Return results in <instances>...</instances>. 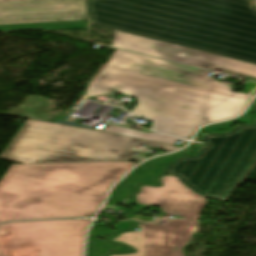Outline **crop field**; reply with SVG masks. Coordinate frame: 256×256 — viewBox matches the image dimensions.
Here are the masks:
<instances>
[{
	"label": "crop field",
	"mask_w": 256,
	"mask_h": 256,
	"mask_svg": "<svg viewBox=\"0 0 256 256\" xmlns=\"http://www.w3.org/2000/svg\"><path fill=\"white\" fill-rule=\"evenodd\" d=\"M91 24L256 64L255 0H84ZM113 47L256 77V66L116 32Z\"/></svg>",
	"instance_id": "8a807250"
},
{
	"label": "crop field",
	"mask_w": 256,
	"mask_h": 256,
	"mask_svg": "<svg viewBox=\"0 0 256 256\" xmlns=\"http://www.w3.org/2000/svg\"><path fill=\"white\" fill-rule=\"evenodd\" d=\"M208 73L116 49L86 95H131L138 103L130 113L153 120L161 133L190 139L200 125L240 114L256 95L255 82L235 92Z\"/></svg>",
	"instance_id": "ac0d7876"
},
{
	"label": "crop field",
	"mask_w": 256,
	"mask_h": 256,
	"mask_svg": "<svg viewBox=\"0 0 256 256\" xmlns=\"http://www.w3.org/2000/svg\"><path fill=\"white\" fill-rule=\"evenodd\" d=\"M135 164H14L0 181V222L92 217L110 186Z\"/></svg>",
	"instance_id": "34b2d1b8"
},
{
	"label": "crop field",
	"mask_w": 256,
	"mask_h": 256,
	"mask_svg": "<svg viewBox=\"0 0 256 256\" xmlns=\"http://www.w3.org/2000/svg\"><path fill=\"white\" fill-rule=\"evenodd\" d=\"M137 144L166 152L179 149L97 130L27 120L0 158L21 163L142 160L129 149Z\"/></svg>",
	"instance_id": "412701ff"
},
{
	"label": "crop field",
	"mask_w": 256,
	"mask_h": 256,
	"mask_svg": "<svg viewBox=\"0 0 256 256\" xmlns=\"http://www.w3.org/2000/svg\"><path fill=\"white\" fill-rule=\"evenodd\" d=\"M202 138L206 147L201 156L177 157L166 167V173L179 177L190 190L205 198L227 201L235 186L256 167V124L236 125L226 135Z\"/></svg>",
	"instance_id": "f4fd0767"
},
{
	"label": "crop field",
	"mask_w": 256,
	"mask_h": 256,
	"mask_svg": "<svg viewBox=\"0 0 256 256\" xmlns=\"http://www.w3.org/2000/svg\"><path fill=\"white\" fill-rule=\"evenodd\" d=\"M91 219L26 221L0 225L1 256L31 247L42 256H81L86 228Z\"/></svg>",
	"instance_id": "dd49c442"
},
{
	"label": "crop field",
	"mask_w": 256,
	"mask_h": 256,
	"mask_svg": "<svg viewBox=\"0 0 256 256\" xmlns=\"http://www.w3.org/2000/svg\"><path fill=\"white\" fill-rule=\"evenodd\" d=\"M87 20L83 0L0 2V24Z\"/></svg>",
	"instance_id": "e52e79f7"
},
{
	"label": "crop field",
	"mask_w": 256,
	"mask_h": 256,
	"mask_svg": "<svg viewBox=\"0 0 256 256\" xmlns=\"http://www.w3.org/2000/svg\"><path fill=\"white\" fill-rule=\"evenodd\" d=\"M199 222L172 220L164 226L144 224L142 256H183L181 250Z\"/></svg>",
	"instance_id": "d8731c3e"
},
{
	"label": "crop field",
	"mask_w": 256,
	"mask_h": 256,
	"mask_svg": "<svg viewBox=\"0 0 256 256\" xmlns=\"http://www.w3.org/2000/svg\"><path fill=\"white\" fill-rule=\"evenodd\" d=\"M205 203L175 177L160 206L164 213L198 220Z\"/></svg>",
	"instance_id": "5a996713"
},
{
	"label": "crop field",
	"mask_w": 256,
	"mask_h": 256,
	"mask_svg": "<svg viewBox=\"0 0 256 256\" xmlns=\"http://www.w3.org/2000/svg\"><path fill=\"white\" fill-rule=\"evenodd\" d=\"M154 175H156V174L155 173H149V172L141 171V170H137V169L133 170L126 178H124L114 188V190L112 191V193L110 195V198H109V200L106 203L104 208H106V207H117V208L124 209L126 213L131 211V209L118 207L115 204L119 200H126L127 199V195L132 193V192H134L133 186L137 182L147 181L148 179H150Z\"/></svg>",
	"instance_id": "3316defc"
},
{
	"label": "crop field",
	"mask_w": 256,
	"mask_h": 256,
	"mask_svg": "<svg viewBox=\"0 0 256 256\" xmlns=\"http://www.w3.org/2000/svg\"><path fill=\"white\" fill-rule=\"evenodd\" d=\"M129 226L130 225L127 221L117 223L112 229H101V228L92 226L89 237H88L86 256H102L103 254L108 252L110 249H115L117 251L128 250V248L124 246L109 245L97 239L95 236L102 237L104 233L112 234L113 229L123 230L128 228Z\"/></svg>",
	"instance_id": "28ad6ade"
},
{
	"label": "crop field",
	"mask_w": 256,
	"mask_h": 256,
	"mask_svg": "<svg viewBox=\"0 0 256 256\" xmlns=\"http://www.w3.org/2000/svg\"><path fill=\"white\" fill-rule=\"evenodd\" d=\"M173 178L174 177L168 175L162 177L159 180V182L163 183L162 187H147L145 185H140V192L135 196L137 201L136 204L159 206Z\"/></svg>",
	"instance_id": "d1516ede"
},
{
	"label": "crop field",
	"mask_w": 256,
	"mask_h": 256,
	"mask_svg": "<svg viewBox=\"0 0 256 256\" xmlns=\"http://www.w3.org/2000/svg\"><path fill=\"white\" fill-rule=\"evenodd\" d=\"M102 131H107L111 133H116V134H121V135H126L130 137H135V138H140V139H145V140H150V141H155V142H160V143H165V144H173L177 142L178 140L184 141L182 139L158 134L155 132H152L150 134L145 133V132H140V131H135L123 127H118L114 125H107L105 126L104 129H101Z\"/></svg>",
	"instance_id": "22f410ed"
},
{
	"label": "crop field",
	"mask_w": 256,
	"mask_h": 256,
	"mask_svg": "<svg viewBox=\"0 0 256 256\" xmlns=\"http://www.w3.org/2000/svg\"><path fill=\"white\" fill-rule=\"evenodd\" d=\"M138 227L141 228L140 231L121 232L115 238H108L111 242L125 244L134 248L135 253L112 254L110 256H141L143 223L139 222Z\"/></svg>",
	"instance_id": "cbeb9de0"
},
{
	"label": "crop field",
	"mask_w": 256,
	"mask_h": 256,
	"mask_svg": "<svg viewBox=\"0 0 256 256\" xmlns=\"http://www.w3.org/2000/svg\"><path fill=\"white\" fill-rule=\"evenodd\" d=\"M87 21L0 25V31L14 28H42L46 30L86 28Z\"/></svg>",
	"instance_id": "5142ce71"
},
{
	"label": "crop field",
	"mask_w": 256,
	"mask_h": 256,
	"mask_svg": "<svg viewBox=\"0 0 256 256\" xmlns=\"http://www.w3.org/2000/svg\"><path fill=\"white\" fill-rule=\"evenodd\" d=\"M193 149L192 146L188 147L185 150L179 151L177 153L171 154V155H167L164 157H160V158H156V159H152L144 164H142L141 166L137 167V169H141V170H145V171H150V172H156L159 173L160 171V167L158 166L161 162L168 160V158L170 156H173L175 154H179V153H190L189 150Z\"/></svg>",
	"instance_id": "d9b57169"
},
{
	"label": "crop field",
	"mask_w": 256,
	"mask_h": 256,
	"mask_svg": "<svg viewBox=\"0 0 256 256\" xmlns=\"http://www.w3.org/2000/svg\"><path fill=\"white\" fill-rule=\"evenodd\" d=\"M234 121L249 123V115L247 113H245L244 116H242ZM232 122L233 121L226 122V123H220V124H216V125H209L202 130H214V129H219V128H226V127H229Z\"/></svg>",
	"instance_id": "733c2abd"
},
{
	"label": "crop field",
	"mask_w": 256,
	"mask_h": 256,
	"mask_svg": "<svg viewBox=\"0 0 256 256\" xmlns=\"http://www.w3.org/2000/svg\"><path fill=\"white\" fill-rule=\"evenodd\" d=\"M12 253L17 256H41V250L31 248H22Z\"/></svg>",
	"instance_id": "4a817a6b"
},
{
	"label": "crop field",
	"mask_w": 256,
	"mask_h": 256,
	"mask_svg": "<svg viewBox=\"0 0 256 256\" xmlns=\"http://www.w3.org/2000/svg\"><path fill=\"white\" fill-rule=\"evenodd\" d=\"M0 1H10V0H0Z\"/></svg>",
	"instance_id": "bc2a9ffb"
}]
</instances>
